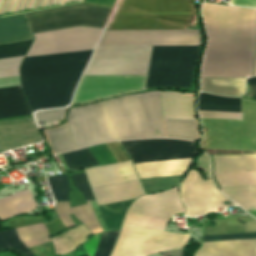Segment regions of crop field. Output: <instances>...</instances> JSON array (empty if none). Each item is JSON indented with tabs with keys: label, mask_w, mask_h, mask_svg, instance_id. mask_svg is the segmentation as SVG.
I'll return each mask as SVG.
<instances>
[{
	"label": "crop field",
	"mask_w": 256,
	"mask_h": 256,
	"mask_svg": "<svg viewBox=\"0 0 256 256\" xmlns=\"http://www.w3.org/2000/svg\"><path fill=\"white\" fill-rule=\"evenodd\" d=\"M31 42L32 41L16 43V44L0 45V58L25 55Z\"/></svg>",
	"instance_id": "36"
},
{
	"label": "crop field",
	"mask_w": 256,
	"mask_h": 256,
	"mask_svg": "<svg viewBox=\"0 0 256 256\" xmlns=\"http://www.w3.org/2000/svg\"><path fill=\"white\" fill-rule=\"evenodd\" d=\"M65 164L70 170L92 167L98 165L88 148L75 152L61 154Z\"/></svg>",
	"instance_id": "30"
},
{
	"label": "crop field",
	"mask_w": 256,
	"mask_h": 256,
	"mask_svg": "<svg viewBox=\"0 0 256 256\" xmlns=\"http://www.w3.org/2000/svg\"><path fill=\"white\" fill-rule=\"evenodd\" d=\"M92 191L98 206L133 199L144 194L138 180Z\"/></svg>",
	"instance_id": "17"
},
{
	"label": "crop field",
	"mask_w": 256,
	"mask_h": 256,
	"mask_svg": "<svg viewBox=\"0 0 256 256\" xmlns=\"http://www.w3.org/2000/svg\"><path fill=\"white\" fill-rule=\"evenodd\" d=\"M219 188L223 194L244 209L256 210V186Z\"/></svg>",
	"instance_id": "24"
},
{
	"label": "crop field",
	"mask_w": 256,
	"mask_h": 256,
	"mask_svg": "<svg viewBox=\"0 0 256 256\" xmlns=\"http://www.w3.org/2000/svg\"><path fill=\"white\" fill-rule=\"evenodd\" d=\"M146 76L82 77L71 105L145 87Z\"/></svg>",
	"instance_id": "13"
},
{
	"label": "crop field",
	"mask_w": 256,
	"mask_h": 256,
	"mask_svg": "<svg viewBox=\"0 0 256 256\" xmlns=\"http://www.w3.org/2000/svg\"><path fill=\"white\" fill-rule=\"evenodd\" d=\"M65 109L66 108L39 111L35 113L34 117L36 122H46V121L63 119Z\"/></svg>",
	"instance_id": "40"
},
{
	"label": "crop field",
	"mask_w": 256,
	"mask_h": 256,
	"mask_svg": "<svg viewBox=\"0 0 256 256\" xmlns=\"http://www.w3.org/2000/svg\"><path fill=\"white\" fill-rule=\"evenodd\" d=\"M164 118L196 119L194 95L160 92Z\"/></svg>",
	"instance_id": "16"
},
{
	"label": "crop field",
	"mask_w": 256,
	"mask_h": 256,
	"mask_svg": "<svg viewBox=\"0 0 256 256\" xmlns=\"http://www.w3.org/2000/svg\"><path fill=\"white\" fill-rule=\"evenodd\" d=\"M18 237L27 248L49 242L43 224L31 225L16 229Z\"/></svg>",
	"instance_id": "28"
},
{
	"label": "crop field",
	"mask_w": 256,
	"mask_h": 256,
	"mask_svg": "<svg viewBox=\"0 0 256 256\" xmlns=\"http://www.w3.org/2000/svg\"><path fill=\"white\" fill-rule=\"evenodd\" d=\"M21 57L0 59V78L19 75L18 66L22 60ZM19 85V76L0 79V88Z\"/></svg>",
	"instance_id": "29"
},
{
	"label": "crop field",
	"mask_w": 256,
	"mask_h": 256,
	"mask_svg": "<svg viewBox=\"0 0 256 256\" xmlns=\"http://www.w3.org/2000/svg\"><path fill=\"white\" fill-rule=\"evenodd\" d=\"M196 9L190 0H121L107 30L187 29Z\"/></svg>",
	"instance_id": "6"
},
{
	"label": "crop field",
	"mask_w": 256,
	"mask_h": 256,
	"mask_svg": "<svg viewBox=\"0 0 256 256\" xmlns=\"http://www.w3.org/2000/svg\"><path fill=\"white\" fill-rule=\"evenodd\" d=\"M198 103L241 105V99L200 93Z\"/></svg>",
	"instance_id": "38"
},
{
	"label": "crop field",
	"mask_w": 256,
	"mask_h": 256,
	"mask_svg": "<svg viewBox=\"0 0 256 256\" xmlns=\"http://www.w3.org/2000/svg\"><path fill=\"white\" fill-rule=\"evenodd\" d=\"M247 83L250 87L254 99L256 100V77L247 79Z\"/></svg>",
	"instance_id": "47"
},
{
	"label": "crop field",
	"mask_w": 256,
	"mask_h": 256,
	"mask_svg": "<svg viewBox=\"0 0 256 256\" xmlns=\"http://www.w3.org/2000/svg\"><path fill=\"white\" fill-rule=\"evenodd\" d=\"M114 0H85L84 3L110 9ZM80 4L46 11L28 13L33 33L76 26L101 28L108 9ZM26 15L0 19V44L32 40Z\"/></svg>",
	"instance_id": "5"
},
{
	"label": "crop field",
	"mask_w": 256,
	"mask_h": 256,
	"mask_svg": "<svg viewBox=\"0 0 256 256\" xmlns=\"http://www.w3.org/2000/svg\"><path fill=\"white\" fill-rule=\"evenodd\" d=\"M72 2H81V0H66V3H72ZM83 2V0H82ZM81 2V3H82ZM63 3V0H48L47 1V4H46V1H45V4H46V7H50V6H55V5H60ZM64 3H65V0H64ZM63 3V4H64ZM65 3V4H66ZM43 4H44V0H35L34 2V6H33V9H38V8H42L43 7ZM45 4H44V7H45ZM43 7V8H44ZM45 7V8H46ZM32 9V10H33Z\"/></svg>",
	"instance_id": "44"
},
{
	"label": "crop field",
	"mask_w": 256,
	"mask_h": 256,
	"mask_svg": "<svg viewBox=\"0 0 256 256\" xmlns=\"http://www.w3.org/2000/svg\"><path fill=\"white\" fill-rule=\"evenodd\" d=\"M120 231L104 233L94 256H109Z\"/></svg>",
	"instance_id": "35"
},
{
	"label": "crop field",
	"mask_w": 256,
	"mask_h": 256,
	"mask_svg": "<svg viewBox=\"0 0 256 256\" xmlns=\"http://www.w3.org/2000/svg\"><path fill=\"white\" fill-rule=\"evenodd\" d=\"M207 35L201 77L253 76L256 9L204 3Z\"/></svg>",
	"instance_id": "3"
},
{
	"label": "crop field",
	"mask_w": 256,
	"mask_h": 256,
	"mask_svg": "<svg viewBox=\"0 0 256 256\" xmlns=\"http://www.w3.org/2000/svg\"><path fill=\"white\" fill-rule=\"evenodd\" d=\"M193 158L135 165L140 179L184 174Z\"/></svg>",
	"instance_id": "19"
},
{
	"label": "crop field",
	"mask_w": 256,
	"mask_h": 256,
	"mask_svg": "<svg viewBox=\"0 0 256 256\" xmlns=\"http://www.w3.org/2000/svg\"><path fill=\"white\" fill-rule=\"evenodd\" d=\"M180 198L186 207V216H198L217 211L223 206L220 202L227 200L215 187L212 180L203 181L195 170H191L181 186Z\"/></svg>",
	"instance_id": "12"
},
{
	"label": "crop field",
	"mask_w": 256,
	"mask_h": 256,
	"mask_svg": "<svg viewBox=\"0 0 256 256\" xmlns=\"http://www.w3.org/2000/svg\"><path fill=\"white\" fill-rule=\"evenodd\" d=\"M133 200L98 207L108 231L119 229L122 218Z\"/></svg>",
	"instance_id": "25"
},
{
	"label": "crop field",
	"mask_w": 256,
	"mask_h": 256,
	"mask_svg": "<svg viewBox=\"0 0 256 256\" xmlns=\"http://www.w3.org/2000/svg\"><path fill=\"white\" fill-rule=\"evenodd\" d=\"M55 211L63 222L65 228L74 226L69 215L73 214L69 202H55Z\"/></svg>",
	"instance_id": "39"
},
{
	"label": "crop field",
	"mask_w": 256,
	"mask_h": 256,
	"mask_svg": "<svg viewBox=\"0 0 256 256\" xmlns=\"http://www.w3.org/2000/svg\"><path fill=\"white\" fill-rule=\"evenodd\" d=\"M11 250L21 256H33V254L17 238L14 229L0 231V251Z\"/></svg>",
	"instance_id": "31"
},
{
	"label": "crop field",
	"mask_w": 256,
	"mask_h": 256,
	"mask_svg": "<svg viewBox=\"0 0 256 256\" xmlns=\"http://www.w3.org/2000/svg\"><path fill=\"white\" fill-rule=\"evenodd\" d=\"M37 207L28 189L20 191L0 199V219L3 221L12 216L30 212Z\"/></svg>",
	"instance_id": "20"
},
{
	"label": "crop field",
	"mask_w": 256,
	"mask_h": 256,
	"mask_svg": "<svg viewBox=\"0 0 256 256\" xmlns=\"http://www.w3.org/2000/svg\"><path fill=\"white\" fill-rule=\"evenodd\" d=\"M215 171L256 170V155L213 156Z\"/></svg>",
	"instance_id": "22"
},
{
	"label": "crop field",
	"mask_w": 256,
	"mask_h": 256,
	"mask_svg": "<svg viewBox=\"0 0 256 256\" xmlns=\"http://www.w3.org/2000/svg\"><path fill=\"white\" fill-rule=\"evenodd\" d=\"M201 120L202 148L256 151V101L242 99V120Z\"/></svg>",
	"instance_id": "7"
},
{
	"label": "crop field",
	"mask_w": 256,
	"mask_h": 256,
	"mask_svg": "<svg viewBox=\"0 0 256 256\" xmlns=\"http://www.w3.org/2000/svg\"><path fill=\"white\" fill-rule=\"evenodd\" d=\"M256 238V231L204 234L203 241ZM195 256H256V239L203 242Z\"/></svg>",
	"instance_id": "14"
},
{
	"label": "crop field",
	"mask_w": 256,
	"mask_h": 256,
	"mask_svg": "<svg viewBox=\"0 0 256 256\" xmlns=\"http://www.w3.org/2000/svg\"><path fill=\"white\" fill-rule=\"evenodd\" d=\"M255 75H256V67H255Z\"/></svg>",
	"instance_id": "49"
},
{
	"label": "crop field",
	"mask_w": 256,
	"mask_h": 256,
	"mask_svg": "<svg viewBox=\"0 0 256 256\" xmlns=\"http://www.w3.org/2000/svg\"><path fill=\"white\" fill-rule=\"evenodd\" d=\"M32 114L20 86L0 89V119Z\"/></svg>",
	"instance_id": "18"
},
{
	"label": "crop field",
	"mask_w": 256,
	"mask_h": 256,
	"mask_svg": "<svg viewBox=\"0 0 256 256\" xmlns=\"http://www.w3.org/2000/svg\"><path fill=\"white\" fill-rule=\"evenodd\" d=\"M198 47H153L146 87L190 88Z\"/></svg>",
	"instance_id": "8"
},
{
	"label": "crop field",
	"mask_w": 256,
	"mask_h": 256,
	"mask_svg": "<svg viewBox=\"0 0 256 256\" xmlns=\"http://www.w3.org/2000/svg\"><path fill=\"white\" fill-rule=\"evenodd\" d=\"M67 123L77 149L101 142L165 138L157 91L73 108Z\"/></svg>",
	"instance_id": "2"
},
{
	"label": "crop field",
	"mask_w": 256,
	"mask_h": 256,
	"mask_svg": "<svg viewBox=\"0 0 256 256\" xmlns=\"http://www.w3.org/2000/svg\"><path fill=\"white\" fill-rule=\"evenodd\" d=\"M84 171L92 189L138 179L131 161L86 169Z\"/></svg>",
	"instance_id": "15"
},
{
	"label": "crop field",
	"mask_w": 256,
	"mask_h": 256,
	"mask_svg": "<svg viewBox=\"0 0 256 256\" xmlns=\"http://www.w3.org/2000/svg\"><path fill=\"white\" fill-rule=\"evenodd\" d=\"M231 5L256 7V0H231Z\"/></svg>",
	"instance_id": "46"
},
{
	"label": "crop field",
	"mask_w": 256,
	"mask_h": 256,
	"mask_svg": "<svg viewBox=\"0 0 256 256\" xmlns=\"http://www.w3.org/2000/svg\"><path fill=\"white\" fill-rule=\"evenodd\" d=\"M200 45L198 30L104 31L97 46Z\"/></svg>",
	"instance_id": "10"
},
{
	"label": "crop field",
	"mask_w": 256,
	"mask_h": 256,
	"mask_svg": "<svg viewBox=\"0 0 256 256\" xmlns=\"http://www.w3.org/2000/svg\"><path fill=\"white\" fill-rule=\"evenodd\" d=\"M47 179L55 201H69V180L67 174Z\"/></svg>",
	"instance_id": "33"
},
{
	"label": "crop field",
	"mask_w": 256,
	"mask_h": 256,
	"mask_svg": "<svg viewBox=\"0 0 256 256\" xmlns=\"http://www.w3.org/2000/svg\"><path fill=\"white\" fill-rule=\"evenodd\" d=\"M184 212L178 187L161 194L143 196L130 206L123 225L163 229L170 217ZM145 227L122 226L111 256H147L164 250L181 248L186 234H176Z\"/></svg>",
	"instance_id": "4"
},
{
	"label": "crop field",
	"mask_w": 256,
	"mask_h": 256,
	"mask_svg": "<svg viewBox=\"0 0 256 256\" xmlns=\"http://www.w3.org/2000/svg\"><path fill=\"white\" fill-rule=\"evenodd\" d=\"M167 138L194 141L198 138L195 120L164 119Z\"/></svg>",
	"instance_id": "23"
},
{
	"label": "crop field",
	"mask_w": 256,
	"mask_h": 256,
	"mask_svg": "<svg viewBox=\"0 0 256 256\" xmlns=\"http://www.w3.org/2000/svg\"><path fill=\"white\" fill-rule=\"evenodd\" d=\"M245 89L244 79L201 78V90L216 95L236 97Z\"/></svg>",
	"instance_id": "21"
},
{
	"label": "crop field",
	"mask_w": 256,
	"mask_h": 256,
	"mask_svg": "<svg viewBox=\"0 0 256 256\" xmlns=\"http://www.w3.org/2000/svg\"><path fill=\"white\" fill-rule=\"evenodd\" d=\"M152 47H97L83 76L146 75Z\"/></svg>",
	"instance_id": "9"
},
{
	"label": "crop field",
	"mask_w": 256,
	"mask_h": 256,
	"mask_svg": "<svg viewBox=\"0 0 256 256\" xmlns=\"http://www.w3.org/2000/svg\"><path fill=\"white\" fill-rule=\"evenodd\" d=\"M200 117L241 119V113L198 111Z\"/></svg>",
	"instance_id": "43"
},
{
	"label": "crop field",
	"mask_w": 256,
	"mask_h": 256,
	"mask_svg": "<svg viewBox=\"0 0 256 256\" xmlns=\"http://www.w3.org/2000/svg\"><path fill=\"white\" fill-rule=\"evenodd\" d=\"M102 30L76 27L33 34L25 57L94 49ZM91 52L25 58L20 80L31 110L67 106Z\"/></svg>",
	"instance_id": "1"
},
{
	"label": "crop field",
	"mask_w": 256,
	"mask_h": 256,
	"mask_svg": "<svg viewBox=\"0 0 256 256\" xmlns=\"http://www.w3.org/2000/svg\"><path fill=\"white\" fill-rule=\"evenodd\" d=\"M184 176V175H183ZM182 175L140 180L146 194L163 191L173 187L181 180Z\"/></svg>",
	"instance_id": "32"
},
{
	"label": "crop field",
	"mask_w": 256,
	"mask_h": 256,
	"mask_svg": "<svg viewBox=\"0 0 256 256\" xmlns=\"http://www.w3.org/2000/svg\"><path fill=\"white\" fill-rule=\"evenodd\" d=\"M88 204L77 206L71 208L75 216L89 229L99 228L98 221L94 215L91 204L88 201ZM73 214V215H74Z\"/></svg>",
	"instance_id": "34"
},
{
	"label": "crop field",
	"mask_w": 256,
	"mask_h": 256,
	"mask_svg": "<svg viewBox=\"0 0 256 256\" xmlns=\"http://www.w3.org/2000/svg\"><path fill=\"white\" fill-rule=\"evenodd\" d=\"M162 256H183V249L162 253Z\"/></svg>",
	"instance_id": "48"
},
{
	"label": "crop field",
	"mask_w": 256,
	"mask_h": 256,
	"mask_svg": "<svg viewBox=\"0 0 256 256\" xmlns=\"http://www.w3.org/2000/svg\"><path fill=\"white\" fill-rule=\"evenodd\" d=\"M2 2H3V0H1L0 8H1V5H2ZM33 2H34V0H32V3H31V0H16V3H15V0H14V3H15V6H14L13 0H4L2 8H1L0 15L9 14L12 3H13V6H14V9H13V6H12L13 12H12V9H11V12L15 13V12H19V11L28 10L29 6H30V3H31V6H30L29 10H31Z\"/></svg>",
	"instance_id": "37"
},
{
	"label": "crop field",
	"mask_w": 256,
	"mask_h": 256,
	"mask_svg": "<svg viewBox=\"0 0 256 256\" xmlns=\"http://www.w3.org/2000/svg\"><path fill=\"white\" fill-rule=\"evenodd\" d=\"M198 167L202 168L205 171L207 178H210V162L208 156L203 153V155L198 160Z\"/></svg>",
	"instance_id": "45"
},
{
	"label": "crop field",
	"mask_w": 256,
	"mask_h": 256,
	"mask_svg": "<svg viewBox=\"0 0 256 256\" xmlns=\"http://www.w3.org/2000/svg\"><path fill=\"white\" fill-rule=\"evenodd\" d=\"M45 132L55 154L76 149L67 124Z\"/></svg>",
	"instance_id": "26"
},
{
	"label": "crop field",
	"mask_w": 256,
	"mask_h": 256,
	"mask_svg": "<svg viewBox=\"0 0 256 256\" xmlns=\"http://www.w3.org/2000/svg\"><path fill=\"white\" fill-rule=\"evenodd\" d=\"M198 110L241 112V106L198 104Z\"/></svg>",
	"instance_id": "42"
},
{
	"label": "crop field",
	"mask_w": 256,
	"mask_h": 256,
	"mask_svg": "<svg viewBox=\"0 0 256 256\" xmlns=\"http://www.w3.org/2000/svg\"><path fill=\"white\" fill-rule=\"evenodd\" d=\"M215 175L220 186L256 185V171L215 172Z\"/></svg>",
	"instance_id": "27"
},
{
	"label": "crop field",
	"mask_w": 256,
	"mask_h": 256,
	"mask_svg": "<svg viewBox=\"0 0 256 256\" xmlns=\"http://www.w3.org/2000/svg\"><path fill=\"white\" fill-rule=\"evenodd\" d=\"M72 177H73L75 186L82 191V195L85 201L94 200L91 194L88 182L86 180L85 174L81 173V174L73 175Z\"/></svg>",
	"instance_id": "41"
},
{
	"label": "crop field",
	"mask_w": 256,
	"mask_h": 256,
	"mask_svg": "<svg viewBox=\"0 0 256 256\" xmlns=\"http://www.w3.org/2000/svg\"><path fill=\"white\" fill-rule=\"evenodd\" d=\"M120 144L133 163L189 158L198 154L195 143L181 140H135Z\"/></svg>",
	"instance_id": "11"
}]
</instances>
